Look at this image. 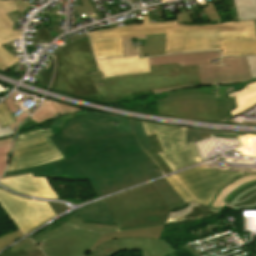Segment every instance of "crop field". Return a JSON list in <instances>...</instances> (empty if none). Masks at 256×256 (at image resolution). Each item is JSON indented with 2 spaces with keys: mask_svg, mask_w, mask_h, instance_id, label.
Listing matches in <instances>:
<instances>
[{
  "mask_svg": "<svg viewBox=\"0 0 256 256\" xmlns=\"http://www.w3.org/2000/svg\"><path fill=\"white\" fill-rule=\"evenodd\" d=\"M50 137L63 159L50 163L53 170L33 177L88 180L97 197L162 176L139 146L134 133L84 138L51 127Z\"/></svg>",
  "mask_w": 256,
  "mask_h": 256,
  "instance_id": "1",
  "label": "crop field"
},
{
  "mask_svg": "<svg viewBox=\"0 0 256 256\" xmlns=\"http://www.w3.org/2000/svg\"><path fill=\"white\" fill-rule=\"evenodd\" d=\"M106 200L116 225L82 223L78 217L34 241L41 243L40 249L46 256H89L99 244L109 240L159 238L170 210L153 183Z\"/></svg>",
  "mask_w": 256,
  "mask_h": 256,
  "instance_id": "2",
  "label": "crop field"
},
{
  "mask_svg": "<svg viewBox=\"0 0 256 256\" xmlns=\"http://www.w3.org/2000/svg\"><path fill=\"white\" fill-rule=\"evenodd\" d=\"M51 90L107 104L132 99L152 89L200 84L198 66H149L151 73L104 78L98 71L89 39L74 41L56 55Z\"/></svg>",
  "mask_w": 256,
  "mask_h": 256,
  "instance_id": "3",
  "label": "crop field"
},
{
  "mask_svg": "<svg viewBox=\"0 0 256 256\" xmlns=\"http://www.w3.org/2000/svg\"><path fill=\"white\" fill-rule=\"evenodd\" d=\"M88 32L96 58L123 56L121 37L167 33L166 54L199 50H221L223 56L256 55L254 21L215 24H178L177 21L150 23Z\"/></svg>",
  "mask_w": 256,
  "mask_h": 256,
  "instance_id": "4",
  "label": "crop field"
},
{
  "mask_svg": "<svg viewBox=\"0 0 256 256\" xmlns=\"http://www.w3.org/2000/svg\"><path fill=\"white\" fill-rule=\"evenodd\" d=\"M201 85L153 90L167 98L157 100L159 115L228 122L236 108L235 98L226 99L225 85L251 80L245 57H222V64L199 66Z\"/></svg>",
  "mask_w": 256,
  "mask_h": 256,
  "instance_id": "5",
  "label": "crop field"
},
{
  "mask_svg": "<svg viewBox=\"0 0 256 256\" xmlns=\"http://www.w3.org/2000/svg\"><path fill=\"white\" fill-rule=\"evenodd\" d=\"M52 103L59 112L63 133L84 137H104L134 132L129 119L83 111L53 101Z\"/></svg>",
  "mask_w": 256,
  "mask_h": 256,
  "instance_id": "6",
  "label": "crop field"
},
{
  "mask_svg": "<svg viewBox=\"0 0 256 256\" xmlns=\"http://www.w3.org/2000/svg\"><path fill=\"white\" fill-rule=\"evenodd\" d=\"M147 135L156 133L164 151L158 153L171 171L182 169L200 162L193 143L185 145V131L173 126L141 121Z\"/></svg>",
  "mask_w": 256,
  "mask_h": 256,
  "instance_id": "7",
  "label": "crop field"
},
{
  "mask_svg": "<svg viewBox=\"0 0 256 256\" xmlns=\"http://www.w3.org/2000/svg\"><path fill=\"white\" fill-rule=\"evenodd\" d=\"M49 130L34 131L20 135L15 140L7 170L50 163L63 156L48 136Z\"/></svg>",
  "mask_w": 256,
  "mask_h": 256,
  "instance_id": "8",
  "label": "crop field"
},
{
  "mask_svg": "<svg viewBox=\"0 0 256 256\" xmlns=\"http://www.w3.org/2000/svg\"><path fill=\"white\" fill-rule=\"evenodd\" d=\"M244 174L196 167L174 176L197 202L207 205L222 186Z\"/></svg>",
  "mask_w": 256,
  "mask_h": 256,
  "instance_id": "9",
  "label": "crop field"
},
{
  "mask_svg": "<svg viewBox=\"0 0 256 256\" xmlns=\"http://www.w3.org/2000/svg\"><path fill=\"white\" fill-rule=\"evenodd\" d=\"M0 204L24 233L56 217L47 202L17 197L1 189Z\"/></svg>",
  "mask_w": 256,
  "mask_h": 256,
  "instance_id": "10",
  "label": "crop field"
},
{
  "mask_svg": "<svg viewBox=\"0 0 256 256\" xmlns=\"http://www.w3.org/2000/svg\"><path fill=\"white\" fill-rule=\"evenodd\" d=\"M126 249H140L142 256H169L175 253L173 247L165 241L147 238H121L98 246L90 256H109Z\"/></svg>",
  "mask_w": 256,
  "mask_h": 256,
  "instance_id": "11",
  "label": "crop field"
},
{
  "mask_svg": "<svg viewBox=\"0 0 256 256\" xmlns=\"http://www.w3.org/2000/svg\"><path fill=\"white\" fill-rule=\"evenodd\" d=\"M17 10L13 0H0V70H7L18 59L10 54L2 45L21 37L22 32L12 30L13 22L6 12Z\"/></svg>",
  "mask_w": 256,
  "mask_h": 256,
  "instance_id": "12",
  "label": "crop field"
},
{
  "mask_svg": "<svg viewBox=\"0 0 256 256\" xmlns=\"http://www.w3.org/2000/svg\"><path fill=\"white\" fill-rule=\"evenodd\" d=\"M0 183L21 193L40 198L59 199L47 178H32L30 174L2 179Z\"/></svg>",
  "mask_w": 256,
  "mask_h": 256,
  "instance_id": "13",
  "label": "crop field"
},
{
  "mask_svg": "<svg viewBox=\"0 0 256 256\" xmlns=\"http://www.w3.org/2000/svg\"><path fill=\"white\" fill-rule=\"evenodd\" d=\"M105 77L150 72L147 58L128 56L96 60Z\"/></svg>",
  "mask_w": 256,
  "mask_h": 256,
  "instance_id": "14",
  "label": "crop field"
},
{
  "mask_svg": "<svg viewBox=\"0 0 256 256\" xmlns=\"http://www.w3.org/2000/svg\"><path fill=\"white\" fill-rule=\"evenodd\" d=\"M80 216L83 222H92V223H98V224H106V225H113L114 221L112 219V216L110 214V210L108 208L106 200H101L98 202H95L85 208H82L77 211L76 214L54 224L53 226L47 228L45 231L31 237L33 240L40 237L41 235L61 226L62 224L76 218L77 216Z\"/></svg>",
  "mask_w": 256,
  "mask_h": 256,
  "instance_id": "15",
  "label": "crop field"
},
{
  "mask_svg": "<svg viewBox=\"0 0 256 256\" xmlns=\"http://www.w3.org/2000/svg\"><path fill=\"white\" fill-rule=\"evenodd\" d=\"M220 59L219 51H206L199 53H185L180 55H168L148 57L149 65L180 63L182 65L212 64L211 60Z\"/></svg>",
  "mask_w": 256,
  "mask_h": 256,
  "instance_id": "16",
  "label": "crop field"
},
{
  "mask_svg": "<svg viewBox=\"0 0 256 256\" xmlns=\"http://www.w3.org/2000/svg\"><path fill=\"white\" fill-rule=\"evenodd\" d=\"M256 183V174L248 173L243 177L236 178L224 187H222L215 195L213 201L207 205L212 211H219V209L226 203V201L235 194L238 190L246 185Z\"/></svg>",
  "mask_w": 256,
  "mask_h": 256,
  "instance_id": "17",
  "label": "crop field"
},
{
  "mask_svg": "<svg viewBox=\"0 0 256 256\" xmlns=\"http://www.w3.org/2000/svg\"><path fill=\"white\" fill-rule=\"evenodd\" d=\"M215 213H213L211 210L203 205L190 202L189 206L186 207L184 210L171 212L166 224L177 221L200 219Z\"/></svg>",
  "mask_w": 256,
  "mask_h": 256,
  "instance_id": "18",
  "label": "crop field"
},
{
  "mask_svg": "<svg viewBox=\"0 0 256 256\" xmlns=\"http://www.w3.org/2000/svg\"><path fill=\"white\" fill-rule=\"evenodd\" d=\"M56 113L57 110L51 101L46 100L32 116H30L25 122L22 123V127L26 131L34 126L51 121L55 118H58Z\"/></svg>",
  "mask_w": 256,
  "mask_h": 256,
  "instance_id": "19",
  "label": "crop field"
},
{
  "mask_svg": "<svg viewBox=\"0 0 256 256\" xmlns=\"http://www.w3.org/2000/svg\"><path fill=\"white\" fill-rule=\"evenodd\" d=\"M233 96L236 98L238 108L229 112L230 117L256 104V82L249 84L245 89L239 92L228 94L229 98Z\"/></svg>",
  "mask_w": 256,
  "mask_h": 256,
  "instance_id": "20",
  "label": "crop field"
},
{
  "mask_svg": "<svg viewBox=\"0 0 256 256\" xmlns=\"http://www.w3.org/2000/svg\"><path fill=\"white\" fill-rule=\"evenodd\" d=\"M154 185L167 203L170 210L184 207L186 205L165 178L154 182Z\"/></svg>",
  "mask_w": 256,
  "mask_h": 256,
  "instance_id": "21",
  "label": "crop field"
},
{
  "mask_svg": "<svg viewBox=\"0 0 256 256\" xmlns=\"http://www.w3.org/2000/svg\"><path fill=\"white\" fill-rule=\"evenodd\" d=\"M227 207L235 210L256 207V185L238 193L236 197L228 203Z\"/></svg>",
  "mask_w": 256,
  "mask_h": 256,
  "instance_id": "22",
  "label": "crop field"
},
{
  "mask_svg": "<svg viewBox=\"0 0 256 256\" xmlns=\"http://www.w3.org/2000/svg\"><path fill=\"white\" fill-rule=\"evenodd\" d=\"M165 44L166 34L146 35L145 56L165 55Z\"/></svg>",
  "mask_w": 256,
  "mask_h": 256,
  "instance_id": "23",
  "label": "crop field"
},
{
  "mask_svg": "<svg viewBox=\"0 0 256 256\" xmlns=\"http://www.w3.org/2000/svg\"><path fill=\"white\" fill-rule=\"evenodd\" d=\"M239 21L256 19V0H235Z\"/></svg>",
  "mask_w": 256,
  "mask_h": 256,
  "instance_id": "24",
  "label": "crop field"
},
{
  "mask_svg": "<svg viewBox=\"0 0 256 256\" xmlns=\"http://www.w3.org/2000/svg\"><path fill=\"white\" fill-rule=\"evenodd\" d=\"M19 93L13 92L10 97H8L4 102L6 104V106L8 107V109L10 110L11 114L13 115L19 108L20 106L14 104L13 102H15L16 100H14L13 98L16 97ZM28 113L26 111H24L23 113H21L19 116H14L16 122L15 124L11 125L12 129L17 128L20 123L26 119L28 117Z\"/></svg>",
  "mask_w": 256,
  "mask_h": 256,
  "instance_id": "25",
  "label": "crop field"
},
{
  "mask_svg": "<svg viewBox=\"0 0 256 256\" xmlns=\"http://www.w3.org/2000/svg\"><path fill=\"white\" fill-rule=\"evenodd\" d=\"M130 122L143 149L146 151L152 149L153 147L143 129L141 122L133 119H130Z\"/></svg>",
  "mask_w": 256,
  "mask_h": 256,
  "instance_id": "26",
  "label": "crop field"
},
{
  "mask_svg": "<svg viewBox=\"0 0 256 256\" xmlns=\"http://www.w3.org/2000/svg\"><path fill=\"white\" fill-rule=\"evenodd\" d=\"M13 137L0 140V176L5 170L8 155L11 150Z\"/></svg>",
  "mask_w": 256,
  "mask_h": 256,
  "instance_id": "27",
  "label": "crop field"
},
{
  "mask_svg": "<svg viewBox=\"0 0 256 256\" xmlns=\"http://www.w3.org/2000/svg\"><path fill=\"white\" fill-rule=\"evenodd\" d=\"M50 169H51V167L49 166V164H45V165L32 166V167L18 169V170H12V171L5 173L1 177V179L7 178V177H12V176H17V175H22V174H27V173L50 170Z\"/></svg>",
  "mask_w": 256,
  "mask_h": 256,
  "instance_id": "28",
  "label": "crop field"
},
{
  "mask_svg": "<svg viewBox=\"0 0 256 256\" xmlns=\"http://www.w3.org/2000/svg\"><path fill=\"white\" fill-rule=\"evenodd\" d=\"M166 179L176 190V192L180 195V197L185 201L186 204L189 203L190 201L195 202L193 198L184 190V188L175 180L173 176L166 177Z\"/></svg>",
  "mask_w": 256,
  "mask_h": 256,
  "instance_id": "29",
  "label": "crop field"
},
{
  "mask_svg": "<svg viewBox=\"0 0 256 256\" xmlns=\"http://www.w3.org/2000/svg\"><path fill=\"white\" fill-rule=\"evenodd\" d=\"M15 123L12 115L10 114L9 110L5 106L4 102L0 104V125L2 127L8 126Z\"/></svg>",
  "mask_w": 256,
  "mask_h": 256,
  "instance_id": "30",
  "label": "crop field"
},
{
  "mask_svg": "<svg viewBox=\"0 0 256 256\" xmlns=\"http://www.w3.org/2000/svg\"><path fill=\"white\" fill-rule=\"evenodd\" d=\"M53 70H54V59L52 58L46 70L44 72L39 71V73H41L43 76V80L38 84V86L48 88L51 81Z\"/></svg>",
  "mask_w": 256,
  "mask_h": 256,
  "instance_id": "31",
  "label": "crop field"
},
{
  "mask_svg": "<svg viewBox=\"0 0 256 256\" xmlns=\"http://www.w3.org/2000/svg\"><path fill=\"white\" fill-rule=\"evenodd\" d=\"M21 248L25 251L26 254L38 250L36 245L29 238H27L26 240L22 241L21 243L12 247L9 250L13 253Z\"/></svg>",
  "mask_w": 256,
  "mask_h": 256,
  "instance_id": "32",
  "label": "crop field"
},
{
  "mask_svg": "<svg viewBox=\"0 0 256 256\" xmlns=\"http://www.w3.org/2000/svg\"><path fill=\"white\" fill-rule=\"evenodd\" d=\"M24 236L19 230H16L6 236L0 238V250L6 247L7 245L13 243L17 239Z\"/></svg>",
  "mask_w": 256,
  "mask_h": 256,
  "instance_id": "33",
  "label": "crop field"
},
{
  "mask_svg": "<svg viewBox=\"0 0 256 256\" xmlns=\"http://www.w3.org/2000/svg\"><path fill=\"white\" fill-rule=\"evenodd\" d=\"M40 40H43L47 43H49L51 40H53L52 36L49 34L46 27L41 24L40 28L37 30L35 34V41L39 42Z\"/></svg>",
  "mask_w": 256,
  "mask_h": 256,
  "instance_id": "34",
  "label": "crop field"
},
{
  "mask_svg": "<svg viewBox=\"0 0 256 256\" xmlns=\"http://www.w3.org/2000/svg\"><path fill=\"white\" fill-rule=\"evenodd\" d=\"M207 5H208V7L204 8L203 10L205 11V13H206L208 19H209L210 21H218V22H221L222 20H221L219 14L217 13V11H216V9H215L213 3H209V4H207Z\"/></svg>",
  "mask_w": 256,
  "mask_h": 256,
  "instance_id": "35",
  "label": "crop field"
},
{
  "mask_svg": "<svg viewBox=\"0 0 256 256\" xmlns=\"http://www.w3.org/2000/svg\"><path fill=\"white\" fill-rule=\"evenodd\" d=\"M83 5H80L78 7H74L75 10L78 9L77 14H81V13H85V12H89L92 11V7L90 5V2L88 0H82Z\"/></svg>",
  "mask_w": 256,
  "mask_h": 256,
  "instance_id": "36",
  "label": "crop field"
},
{
  "mask_svg": "<svg viewBox=\"0 0 256 256\" xmlns=\"http://www.w3.org/2000/svg\"><path fill=\"white\" fill-rule=\"evenodd\" d=\"M251 72V76L256 78V56L246 57Z\"/></svg>",
  "mask_w": 256,
  "mask_h": 256,
  "instance_id": "37",
  "label": "crop field"
},
{
  "mask_svg": "<svg viewBox=\"0 0 256 256\" xmlns=\"http://www.w3.org/2000/svg\"><path fill=\"white\" fill-rule=\"evenodd\" d=\"M16 130H12L10 126L2 128L0 126V139L14 135Z\"/></svg>",
  "mask_w": 256,
  "mask_h": 256,
  "instance_id": "38",
  "label": "crop field"
},
{
  "mask_svg": "<svg viewBox=\"0 0 256 256\" xmlns=\"http://www.w3.org/2000/svg\"><path fill=\"white\" fill-rule=\"evenodd\" d=\"M177 18H178L179 23L192 22L188 12L182 13V14H177Z\"/></svg>",
  "mask_w": 256,
  "mask_h": 256,
  "instance_id": "39",
  "label": "crop field"
},
{
  "mask_svg": "<svg viewBox=\"0 0 256 256\" xmlns=\"http://www.w3.org/2000/svg\"><path fill=\"white\" fill-rule=\"evenodd\" d=\"M25 255V253L23 252V250H19L15 253H11L9 250L5 251L4 253L0 254V256H23Z\"/></svg>",
  "mask_w": 256,
  "mask_h": 256,
  "instance_id": "40",
  "label": "crop field"
},
{
  "mask_svg": "<svg viewBox=\"0 0 256 256\" xmlns=\"http://www.w3.org/2000/svg\"><path fill=\"white\" fill-rule=\"evenodd\" d=\"M25 256H44V255L42 254V252L40 250H38L36 252L30 253V254L25 255Z\"/></svg>",
  "mask_w": 256,
  "mask_h": 256,
  "instance_id": "41",
  "label": "crop field"
},
{
  "mask_svg": "<svg viewBox=\"0 0 256 256\" xmlns=\"http://www.w3.org/2000/svg\"><path fill=\"white\" fill-rule=\"evenodd\" d=\"M27 96L25 95L21 99L17 100V102L21 103ZM29 98L33 99V97L28 96Z\"/></svg>",
  "mask_w": 256,
  "mask_h": 256,
  "instance_id": "42",
  "label": "crop field"
},
{
  "mask_svg": "<svg viewBox=\"0 0 256 256\" xmlns=\"http://www.w3.org/2000/svg\"><path fill=\"white\" fill-rule=\"evenodd\" d=\"M255 24H256V21H255Z\"/></svg>",
  "mask_w": 256,
  "mask_h": 256,
  "instance_id": "43",
  "label": "crop field"
},
{
  "mask_svg": "<svg viewBox=\"0 0 256 256\" xmlns=\"http://www.w3.org/2000/svg\"><path fill=\"white\" fill-rule=\"evenodd\" d=\"M131 1H133V0H131Z\"/></svg>",
  "mask_w": 256,
  "mask_h": 256,
  "instance_id": "44",
  "label": "crop field"
}]
</instances>
